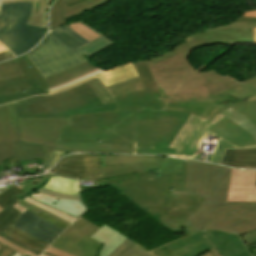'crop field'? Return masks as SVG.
Masks as SVG:
<instances>
[{
    "mask_svg": "<svg viewBox=\"0 0 256 256\" xmlns=\"http://www.w3.org/2000/svg\"><path fill=\"white\" fill-rule=\"evenodd\" d=\"M230 171L187 160L184 192L172 194L207 197L184 222L196 234L165 245L153 255L200 256L215 247L222 256H252L245 245L256 243V203L226 202Z\"/></svg>",
    "mask_w": 256,
    "mask_h": 256,
    "instance_id": "1",
    "label": "crop field"
},
{
    "mask_svg": "<svg viewBox=\"0 0 256 256\" xmlns=\"http://www.w3.org/2000/svg\"><path fill=\"white\" fill-rule=\"evenodd\" d=\"M133 64L146 90L113 97L119 111L70 116V126H64L60 139L136 144V154L198 160L200 151L182 157L167 148L189 113L162 111L157 100L161 95L145 60Z\"/></svg>",
    "mask_w": 256,
    "mask_h": 256,
    "instance_id": "2",
    "label": "crop field"
},
{
    "mask_svg": "<svg viewBox=\"0 0 256 256\" xmlns=\"http://www.w3.org/2000/svg\"><path fill=\"white\" fill-rule=\"evenodd\" d=\"M208 135L220 140L210 161L212 163H219L225 148L255 147L256 102L231 107L210 122L190 114L169 147L177 148V155L191 156L194 149H200Z\"/></svg>",
    "mask_w": 256,
    "mask_h": 256,
    "instance_id": "3",
    "label": "crop field"
},
{
    "mask_svg": "<svg viewBox=\"0 0 256 256\" xmlns=\"http://www.w3.org/2000/svg\"><path fill=\"white\" fill-rule=\"evenodd\" d=\"M185 165L186 160L183 171L110 186L171 231L179 230V234L191 235L192 232L181 222L199 207L203 198L171 195V189L183 191Z\"/></svg>",
    "mask_w": 256,
    "mask_h": 256,
    "instance_id": "4",
    "label": "crop field"
},
{
    "mask_svg": "<svg viewBox=\"0 0 256 256\" xmlns=\"http://www.w3.org/2000/svg\"><path fill=\"white\" fill-rule=\"evenodd\" d=\"M160 92L163 98L158 100L163 110L190 112L210 121L222 110L240 104L219 106L215 103L225 100L232 94L239 98L248 97L256 92V83L251 78L242 82L231 79L214 85L160 90Z\"/></svg>",
    "mask_w": 256,
    "mask_h": 256,
    "instance_id": "5",
    "label": "crop field"
},
{
    "mask_svg": "<svg viewBox=\"0 0 256 256\" xmlns=\"http://www.w3.org/2000/svg\"><path fill=\"white\" fill-rule=\"evenodd\" d=\"M14 105L19 118H69V115L118 110L115 103L102 105L87 82L50 96L20 100Z\"/></svg>",
    "mask_w": 256,
    "mask_h": 256,
    "instance_id": "6",
    "label": "crop field"
},
{
    "mask_svg": "<svg viewBox=\"0 0 256 256\" xmlns=\"http://www.w3.org/2000/svg\"><path fill=\"white\" fill-rule=\"evenodd\" d=\"M31 2L2 4L0 41L15 55L33 48L45 32L25 25L30 16Z\"/></svg>",
    "mask_w": 256,
    "mask_h": 256,
    "instance_id": "7",
    "label": "crop field"
},
{
    "mask_svg": "<svg viewBox=\"0 0 256 256\" xmlns=\"http://www.w3.org/2000/svg\"><path fill=\"white\" fill-rule=\"evenodd\" d=\"M189 51L153 66H151L149 59L146 60L159 89L208 85L233 78L228 75L221 76L213 70L199 73L186 60Z\"/></svg>",
    "mask_w": 256,
    "mask_h": 256,
    "instance_id": "8",
    "label": "crop field"
},
{
    "mask_svg": "<svg viewBox=\"0 0 256 256\" xmlns=\"http://www.w3.org/2000/svg\"><path fill=\"white\" fill-rule=\"evenodd\" d=\"M26 55L40 71L43 78L72 68L86 60L76 50L61 43L51 33Z\"/></svg>",
    "mask_w": 256,
    "mask_h": 256,
    "instance_id": "9",
    "label": "crop field"
},
{
    "mask_svg": "<svg viewBox=\"0 0 256 256\" xmlns=\"http://www.w3.org/2000/svg\"><path fill=\"white\" fill-rule=\"evenodd\" d=\"M98 229L99 227L80 217L51 246L74 256H95L102 243L89 237Z\"/></svg>",
    "mask_w": 256,
    "mask_h": 256,
    "instance_id": "10",
    "label": "crop field"
},
{
    "mask_svg": "<svg viewBox=\"0 0 256 256\" xmlns=\"http://www.w3.org/2000/svg\"><path fill=\"white\" fill-rule=\"evenodd\" d=\"M185 43L175 49L150 60L151 64L178 55L188 49L209 46L217 43H253V28L224 29L195 35L183 39Z\"/></svg>",
    "mask_w": 256,
    "mask_h": 256,
    "instance_id": "11",
    "label": "crop field"
},
{
    "mask_svg": "<svg viewBox=\"0 0 256 256\" xmlns=\"http://www.w3.org/2000/svg\"><path fill=\"white\" fill-rule=\"evenodd\" d=\"M0 76L9 89L29 83L36 95L48 94L47 83L26 55L0 64Z\"/></svg>",
    "mask_w": 256,
    "mask_h": 256,
    "instance_id": "12",
    "label": "crop field"
},
{
    "mask_svg": "<svg viewBox=\"0 0 256 256\" xmlns=\"http://www.w3.org/2000/svg\"><path fill=\"white\" fill-rule=\"evenodd\" d=\"M22 141L45 145V152L49 158L53 152L64 124L68 119H20Z\"/></svg>",
    "mask_w": 256,
    "mask_h": 256,
    "instance_id": "13",
    "label": "crop field"
},
{
    "mask_svg": "<svg viewBox=\"0 0 256 256\" xmlns=\"http://www.w3.org/2000/svg\"><path fill=\"white\" fill-rule=\"evenodd\" d=\"M21 191L17 186L11 187L0 195V206L5 210L0 212V235L4 232L40 249L45 250L48 244L20 231L19 229L11 226L14 221L22 214L12 206L20 199L15 195Z\"/></svg>",
    "mask_w": 256,
    "mask_h": 256,
    "instance_id": "14",
    "label": "crop field"
},
{
    "mask_svg": "<svg viewBox=\"0 0 256 256\" xmlns=\"http://www.w3.org/2000/svg\"><path fill=\"white\" fill-rule=\"evenodd\" d=\"M50 173L77 179L99 176L101 175L100 156L85 154L66 156L57 163Z\"/></svg>",
    "mask_w": 256,
    "mask_h": 256,
    "instance_id": "15",
    "label": "crop field"
},
{
    "mask_svg": "<svg viewBox=\"0 0 256 256\" xmlns=\"http://www.w3.org/2000/svg\"><path fill=\"white\" fill-rule=\"evenodd\" d=\"M183 160L157 156V163L134 164L117 167H104V156H101L102 176L94 178H81V181L100 180L105 178L118 177L125 174L139 171L158 169V174L182 170Z\"/></svg>",
    "mask_w": 256,
    "mask_h": 256,
    "instance_id": "16",
    "label": "crop field"
},
{
    "mask_svg": "<svg viewBox=\"0 0 256 256\" xmlns=\"http://www.w3.org/2000/svg\"><path fill=\"white\" fill-rule=\"evenodd\" d=\"M110 0H56L51 8L50 31L66 24L65 18L101 6Z\"/></svg>",
    "mask_w": 256,
    "mask_h": 256,
    "instance_id": "17",
    "label": "crop field"
},
{
    "mask_svg": "<svg viewBox=\"0 0 256 256\" xmlns=\"http://www.w3.org/2000/svg\"><path fill=\"white\" fill-rule=\"evenodd\" d=\"M255 174L232 169L227 201L256 202Z\"/></svg>",
    "mask_w": 256,
    "mask_h": 256,
    "instance_id": "18",
    "label": "crop field"
},
{
    "mask_svg": "<svg viewBox=\"0 0 256 256\" xmlns=\"http://www.w3.org/2000/svg\"><path fill=\"white\" fill-rule=\"evenodd\" d=\"M91 238L104 243L99 251V256H108L116 248H118L128 238L114 230L113 228L103 225ZM119 256H152L137 245H133Z\"/></svg>",
    "mask_w": 256,
    "mask_h": 256,
    "instance_id": "19",
    "label": "crop field"
},
{
    "mask_svg": "<svg viewBox=\"0 0 256 256\" xmlns=\"http://www.w3.org/2000/svg\"><path fill=\"white\" fill-rule=\"evenodd\" d=\"M49 223L27 210L16 220L14 226L50 244L63 230Z\"/></svg>",
    "mask_w": 256,
    "mask_h": 256,
    "instance_id": "20",
    "label": "crop field"
},
{
    "mask_svg": "<svg viewBox=\"0 0 256 256\" xmlns=\"http://www.w3.org/2000/svg\"><path fill=\"white\" fill-rule=\"evenodd\" d=\"M15 133V157L17 161L29 160L38 158L43 163L48 159L45 152L44 146L33 143L21 142V128L17 118L16 110L13 103L8 104Z\"/></svg>",
    "mask_w": 256,
    "mask_h": 256,
    "instance_id": "21",
    "label": "crop field"
},
{
    "mask_svg": "<svg viewBox=\"0 0 256 256\" xmlns=\"http://www.w3.org/2000/svg\"><path fill=\"white\" fill-rule=\"evenodd\" d=\"M56 151L61 152H107V153H131L134 145H119L94 142H74L60 140Z\"/></svg>",
    "mask_w": 256,
    "mask_h": 256,
    "instance_id": "22",
    "label": "crop field"
},
{
    "mask_svg": "<svg viewBox=\"0 0 256 256\" xmlns=\"http://www.w3.org/2000/svg\"><path fill=\"white\" fill-rule=\"evenodd\" d=\"M14 156V133L8 106H0V162Z\"/></svg>",
    "mask_w": 256,
    "mask_h": 256,
    "instance_id": "23",
    "label": "crop field"
},
{
    "mask_svg": "<svg viewBox=\"0 0 256 256\" xmlns=\"http://www.w3.org/2000/svg\"><path fill=\"white\" fill-rule=\"evenodd\" d=\"M220 164L243 169H256V147L236 150L226 149Z\"/></svg>",
    "mask_w": 256,
    "mask_h": 256,
    "instance_id": "24",
    "label": "crop field"
},
{
    "mask_svg": "<svg viewBox=\"0 0 256 256\" xmlns=\"http://www.w3.org/2000/svg\"><path fill=\"white\" fill-rule=\"evenodd\" d=\"M30 197L46 205L52 206L58 210L64 211L77 218L81 216L86 210V208L82 205L81 201L56 199L51 196L44 195L39 191L32 193Z\"/></svg>",
    "mask_w": 256,
    "mask_h": 256,
    "instance_id": "25",
    "label": "crop field"
},
{
    "mask_svg": "<svg viewBox=\"0 0 256 256\" xmlns=\"http://www.w3.org/2000/svg\"><path fill=\"white\" fill-rule=\"evenodd\" d=\"M99 70L92 66L88 61L69 70L62 71L55 75L45 78V81L49 85V89L55 86L63 85L69 81L80 78L88 73Z\"/></svg>",
    "mask_w": 256,
    "mask_h": 256,
    "instance_id": "26",
    "label": "crop field"
},
{
    "mask_svg": "<svg viewBox=\"0 0 256 256\" xmlns=\"http://www.w3.org/2000/svg\"><path fill=\"white\" fill-rule=\"evenodd\" d=\"M137 72L131 62L124 64L120 67L109 69L99 75V78L106 86L113 83L137 76Z\"/></svg>",
    "mask_w": 256,
    "mask_h": 256,
    "instance_id": "27",
    "label": "crop field"
},
{
    "mask_svg": "<svg viewBox=\"0 0 256 256\" xmlns=\"http://www.w3.org/2000/svg\"><path fill=\"white\" fill-rule=\"evenodd\" d=\"M32 1L31 17L27 24L32 26L43 27L46 29V13L48 4L52 0H12V2ZM10 3V0L2 1Z\"/></svg>",
    "mask_w": 256,
    "mask_h": 256,
    "instance_id": "28",
    "label": "crop field"
},
{
    "mask_svg": "<svg viewBox=\"0 0 256 256\" xmlns=\"http://www.w3.org/2000/svg\"><path fill=\"white\" fill-rule=\"evenodd\" d=\"M42 187L55 192L78 195V180L74 179L58 177L54 175Z\"/></svg>",
    "mask_w": 256,
    "mask_h": 256,
    "instance_id": "29",
    "label": "crop field"
},
{
    "mask_svg": "<svg viewBox=\"0 0 256 256\" xmlns=\"http://www.w3.org/2000/svg\"><path fill=\"white\" fill-rule=\"evenodd\" d=\"M54 36H56L60 41L68 44L69 46L73 47L76 50H79L81 47H83L85 44L89 43L86 39L81 37L79 34H77L75 31H73L71 28L63 27L56 29L51 32Z\"/></svg>",
    "mask_w": 256,
    "mask_h": 256,
    "instance_id": "30",
    "label": "crop field"
},
{
    "mask_svg": "<svg viewBox=\"0 0 256 256\" xmlns=\"http://www.w3.org/2000/svg\"><path fill=\"white\" fill-rule=\"evenodd\" d=\"M156 162V156L105 155V166Z\"/></svg>",
    "mask_w": 256,
    "mask_h": 256,
    "instance_id": "31",
    "label": "crop field"
},
{
    "mask_svg": "<svg viewBox=\"0 0 256 256\" xmlns=\"http://www.w3.org/2000/svg\"><path fill=\"white\" fill-rule=\"evenodd\" d=\"M81 23L83 25H85L87 28H89L90 30H92L93 32L97 33L98 35H100L101 37L98 38L97 40L91 42L90 44L84 46L83 48H81L79 51L80 54H82L85 58H88L104 49H106L107 47L111 46L112 43L110 40H108L106 37H104L103 35H101L99 32H97L96 30L92 29L91 27L87 26L86 24H84L82 21Z\"/></svg>",
    "mask_w": 256,
    "mask_h": 256,
    "instance_id": "32",
    "label": "crop field"
},
{
    "mask_svg": "<svg viewBox=\"0 0 256 256\" xmlns=\"http://www.w3.org/2000/svg\"><path fill=\"white\" fill-rule=\"evenodd\" d=\"M52 176H53L52 174H46V175H43V177L40 179L33 178L28 183L19 187L20 190H22L23 192L21 194L17 195V197L21 199V198L27 196L32 191H34L36 188H38V187L42 186L44 183H46Z\"/></svg>",
    "mask_w": 256,
    "mask_h": 256,
    "instance_id": "33",
    "label": "crop field"
},
{
    "mask_svg": "<svg viewBox=\"0 0 256 256\" xmlns=\"http://www.w3.org/2000/svg\"><path fill=\"white\" fill-rule=\"evenodd\" d=\"M87 82L92 87V89L96 92V94L99 96L103 104L114 102L109 91L99 80L91 79Z\"/></svg>",
    "mask_w": 256,
    "mask_h": 256,
    "instance_id": "34",
    "label": "crop field"
},
{
    "mask_svg": "<svg viewBox=\"0 0 256 256\" xmlns=\"http://www.w3.org/2000/svg\"><path fill=\"white\" fill-rule=\"evenodd\" d=\"M23 199L28 201V202H31V203H33V204H35V205H37V206H39V207H41L43 209H46V210L54 213L55 215L59 216L60 218L66 220V221H68L70 223H73L76 220V218H74V217H72V216H70V215H68V214H66L64 212H60V211H58V210H56V209H54L52 207L45 206V205H43V204H41V203H39V202L29 198L28 196L23 198Z\"/></svg>",
    "mask_w": 256,
    "mask_h": 256,
    "instance_id": "35",
    "label": "crop field"
},
{
    "mask_svg": "<svg viewBox=\"0 0 256 256\" xmlns=\"http://www.w3.org/2000/svg\"><path fill=\"white\" fill-rule=\"evenodd\" d=\"M69 27H71L73 30H75L77 33H79L81 36H83L90 42L100 37L97 34L90 31L89 29H87L85 26H83L79 22L75 24H71L69 25Z\"/></svg>",
    "mask_w": 256,
    "mask_h": 256,
    "instance_id": "36",
    "label": "crop field"
},
{
    "mask_svg": "<svg viewBox=\"0 0 256 256\" xmlns=\"http://www.w3.org/2000/svg\"><path fill=\"white\" fill-rule=\"evenodd\" d=\"M142 89H144V87H143L141 81H139V82L131 83V84L122 86L120 88L111 90V92L114 96H116V95L132 92V91H136V90H142Z\"/></svg>",
    "mask_w": 256,
    "mask_h": 256,
    "instance_id": "37",
    "label": "crop field"
},
{
    "mask_svg": "<svg viewBox=\"0 0 256 256\" xmlns=\"http://www.w3.org/2000/svg\"><path fill=\"white\" fill-rule=\"evenodd\" d=\"M32 95H34V93L31 90V91L22 92V93H18V94H15V95L5 97L4 94L0 90V104L10 102V101H14V100H17V99H21V98H24V97L32 96Z\"/></svg>",
    "mask_w": 256,
    "mask_h": 256,
    "instance_id": "38",
    "label": "crop field"
},
{
    "mask_svg": "<svg viewBox=\"0 0 256 256\" xmlns=\"http://www.w3.org/2000/svg\"><path fill=\"white\" fill-rule=\"evenodd\" d=\"M0 89L5 94V96H7L14 93L22 92L23 90H26V91L31 90V87L29 86V84H27V85L9 90L8 87L5 85V83L3 82V80L0 78Z\"/></svg>",
    "mask_w": 256,
    "mask_h": 256,
    "instance_id": "39",
    "label": "crop field"
},
{
    "mask_svg": "<svg viewBox=\"0 0 256 256\" xmlns=\"http://www.w3.org/2000/svg\"><path fill=\"white\" fill-rule=\"evenodd\" d=\"M2 237L11 241V242H13V243H15V244H17V245H19V246H21V247H23V248H25V249H27V250H29V251H31V252H33V253H35V254H37V255L41 254V251L37 250L36 248H34V247L16 239L14 237H11V236H9L5 233L2 235Z\"/></svg>",
    "mask_w": 256,
    "mask_h": 256,
    "instance_id": "40",
    "label": "crop field"
},
{
    "mask_svg": "<svg viewBox=\"0 0 256 256\" xmlns=\"http://www.w3.org/2000/svg\"><path fill=\"white\" fill-rule=\"evenodd\" d=\"M238 27H256V24H249V23H230L228 25H222L219 27H213V28H208L206 30L201 31L200 33L203 32H208V31H213V30H217V29H224V28H238ZM197 33V34H200ZM195 35V34H193ZM192 36V35H191ZM190 37V36H188Z\"/></svg>",
    "mask_w": 256,
    "mask_h": 256,
    "instance_id": "41",
    "label": "crop field"
},
{
    "mask_svg": "<svg viewBox=\"0 0 256 256\" xmlns=\"http://www.w3.org/2000/svg\"><path fill=\"white\" fill-rule=\"evenodd\" d=\"M2 210H4V209H2V208L0 207V211H2ZM0 243H1L2 245H4V246L10 247L11 249H13V250H15L16 252H19V253H21V254H23V255L30 254V255H32V256H37V255H35V254H33V253H31V252H29V251H27V250H25V249L19 247V246L13 244V243H11V242H9V241H7V240L1 238V237H0Z\"/></svg>",
    "mask_w": 256,
    "mask_h": 256,
    "instance_id": "42",
    "label": "crop field"
},
{
    "mask_svg": "<svg viewBox=\"0 0 256 256\" xmlns=\"http://www.w3.org/2000/svg\"><path fill=\"white\" fill-rule=\"evenodd\" d=\"M45 194H48V195H51L53 197H56V198H61V199H70V200H80L79 196H76V195H65V194H59V193H55V192H51V191H48L44 188H39L37 189Z\"/></svg>",
    "mask_w": 256,
    "mask_h": 256,
    "instance_id": "43",
    "label": "crop field"
},
{
    "mask_svg": "<svg viewBox=\"0 0 256 256\" xmlns=\"http://www.w3.org/2000/svg\"><path fill=\"white\" fill-rule=\"evenodd\" d=\"M63 154L64 153L55 152L37 175L42 174L45 169L50 170Z\"/></svg>",
    "mask_w": 256,
    "mask_h": 256,
    "instance_id": "44",
    "label": "crop field"
},
{
    "mask_svg": "<svg viewBox=\"0 0 256 256\" xmlns=\"http://www.w3.org/2000/svg\"><path fill=\"white\" fill-rule=\"evenodd\" d=\"M37 216L43 218L44 220L50 222L51 224H53V225H55V226H57V227H59V228H61L63 230L68 227V226L60 223L59 221L53 219L52 217H50V216H48V215H46V214H44L42 212L40 214H38Z\"/></svg>",
    "mask_w": 256,
    "mask_h": 256,
    "instance_id": "45",
    "label": "crop field"
},
{
    "mask_svg": "<svg viewBox=\"0 0 256 256\" xmlns=\"http://www.w3.org/2000/svg\"><path fill=\"white\" fill-rule=\"evenodd\" d=\"M134 242H132L130 239H128L124 244H122L118 249H116L112 254L109 256H118L121 254L123 251L128 249L130 246H132Z\"/></svg>",
    "mask_w": 256,
    "mask_h": 256,
    "instance_id": "46",
    "label": "crop field"
},
{
    "mask_svg": "<svg viewBox=\"0 0 256 256\" xmlns=\"http://www.w3.org/2000/svg\"><path fill=\"white\" fill-rule=\"evenodd\" d=\"M251 97V96H250ZM249 98V97H248ZM244 100H247V98H237L235 96H230L228 99H226L225 101L221 102V103H217V104H220V105H226V104H233V103H237V102H240V101H244Z\"/></svg>",
    "mask_w": 256,
    "mask_h": 256,
    "instance_id": "47",
    "label": "crop field"
},
{
    "mask_svg": "<svg viewBox=\"0 0 256 256\" xmlns=\"http://www.w3.org/2000/svg\"><path fill=\"white\" fill-rule=\"evenodd\" d=\"M139 77H134V78H131V79H128V80H125V81H122V82H119V83H116L114 85H111V86H108V89L111 90V89H114V88H117L119 86H122V85H125V84H128V83H131V82H135V81H139Z\"/></svg>",
    "mask_w": 256,
    "mask_h": 256,
    "instance_id": "48",
    "label": "crop field"
},
{
    "mask_svg": "<svg viewBox=\"0 0 256 256\" xmlns=\"http://www.w3.org/2000/svg\"><path fill=\"white\" fill-rule=\"evenodd\" d=\"M45 252L50 253V254L55 255V256H71V255H69V254H67V253H64V252H62V251H60V250H58V249H55V248H53V247H51V246H49V247L45 250Z\"/></svg>",
    "mask_w": 256,
    "mask_h": 256,
    "instance_id": "49",
    "label": "crop field"
},
{
    "mask_svg": "<svg viewBox=\"0 0 256 256\" xmlns=\"http://www.w3.org/2000/svg\"><path fill=\"white\" fill-rule=\"evenodd\" d=\"M103 71H105V70L101 69V70H99V71H97V72H94V73H91V74H89V75H87V76H85V77H83V78L77 79V80H75V81L69 82V83H67V84H65V85H63V86L56 87V88H53V89H51V90H54V89H58V88H61V87H64V86L71 85V84L76 83V82H78V81H81V80H83V79H87V78H89V77H92V76H94V75H97V74H99V73H101V72H103ZM51 90H50V91H51Z\"/></svg>",
    "mask_w": 256,
    "mask_h": 256,
    "instance_id": "50",
    "label": "crop field"
},
{
    "mask_svg": "<svg viewBox=\"0 0 256 256\" xmlns=\"http://www.w3.org/2000/svg\"><path fill=\"white\" fill-rule=\"evenodd\" d=\"M21 201H23V200H21ZM23 202H25L26 204H28V205H30V206H32V207H34V208H36V209H38V210H40V211H42V212H44V213H46V214L52 216L53 218H55V219L61 221L62 223L66 224V225H68V226L70 225V223H68V222H66V221H64V220H62V219H60L59 217H57V216H55V215H53V214H51V213H49V212H47V211H45V210L39 208V207H37V206H35V205L31 204V203H28V202H26V201H23Z\"/></svg>",
    "mask_w": 256,
    "mask_h": 256,
    "instance_id": "51",
    "label": "crop field"
},
{
    "mask_svg": "<svg viewBox=\"0 0 256 256\" xmlns=\"http://www.w3.org/2000/svg\"><path fill=\"white\" fill-rule=\"evenodd\" d=\"M234 22H250V23H256V18L251 17H240L238 20Z\"/></svg>",
    "mask_w": 256,
    "mask_h": 256,
    "instance_id": "52",
    "label": "crop field"
},
{
    "mask_svg": "<svg viewBox=\"0 0 256 256\" xmlns=\"http://www.w3.org/2000/svg\"><path fill=\"white\" fill-rule=\"evenodd\" d=\"M14 252H15V251H13V250H11V249L5 247L4 249H2V250L0 251V256H10V255H12Z\"/></svg>",
    "mask_w": 256,
    "mask_h": 256,
    "instance_id": "53",
    "label": "crop field"
},
{
    "mask_svg": "<svg viewBox=\"0 0 256 256\" xmlns=\"http://www.w3.org/2000/svg\"><path fill=\"white\" fill-rule=\"evenodd\" d=\"M11 57H14V55L11 54V53L9 52V50L0 53V61L5 60V59H7V58H11Z\"/></svg>",
    "mask_w": 256,
    "mask_h": 256,
    "instance_id": "54",
    "label": "crop field"
},
{
    "mask_svg": "<svg viewBox=\"0 0 256 256\" xmlns=\"http://www.w3.org/2000/svg\"><path fill=\"white\" fill-rule=\"evenodd\" d=\"M201 256H221L217 250L214 248L208 252H206L205 254L201 255Z\"/></svg>",
    "mask_w": 256,
    "mask_h": 256,
    "instance_id": "55",
    "label": "crop field"
},
{
    "mask_svg": "<svg viewBox=\"0 0 256 256\" xmlns=\"http://www.w3.org/2000/svg\"><path fill=\"white\" fill-rule=\"evenodd\" d=\"M17 204H19V205H21V206L27 208L28 210H30L31 212H33V213L36 214V215H37L38 213H40V211H38V210H36V209H34V208H31V207L27 206L26 204H24V203L21 202V201H19Z\"/></svg>",
    "mask_w": 256,
    "mask_h": 256,
    "instance_id": "56",
    "label": "crop field"
},
{
    "mask_svg": "<svg viewBox=\"0 0 256 256\" xmlns=\"http://www.w3.org/2000/svg\"><path fill=\"white\" fill-rule=\"evenodd\" d=\"M94 77H95V76H94ZM92 78H93V77H92ZM89 79H90V78H89ZM87 80H88V79H87ZM84 81H86V80H83V81H81V82H78V83H76V84H73V85L68 86V87H65V88H61V89H58V90H55V91H51L50 93L53 94V93H56V92H59V91H62V90H65V89L74 87V86H76V85H78V84H80V83H82V82H84Z\"/></svg>",
    "mask_w": 256,
    "mask_h": 256,
    "instance_id": "57",
    "label": "crop field"
},
{
    "mask_svg": "<svg viewBox=\"0 0 256 256\" xmlns=\"http://www.w3.org/2000/svg\"><path fill=\"white\" fill-rule=\"evenodd\" d=\"M242 16H252V17H256V11H254V12H245V14L242 15Z\"/></svg>",
    "mask_w": 256,
    "mask_h": 256,
    "instance_id": "58",
    "label": "crop field"
},
{
    "mask_svg": "<svg viewBox=\"0 0 256 256\" xmlns=\"http://www.w3.org/2000/svg\"><path fill=\"white\" fill-rule=\"evenodd\" d=\"M13 207H15L16 209H18V210L21 211L22 213L25 212V210H26L25 208H23V207H21V206H19V205H17V204L14 205Z\"/></svg>",
    "mask_w": 256,
    "mask_h": 256,
    "instance_id": "59",
    "label": "crop field"
},
{
    "mask_svg": "<svg viewBox=\"0 0 256 256\" xmlns=\"http://www.w3.org/2000/svg\"><path fill=\"white\" fill-rule=\"evenodd\" d=\"M5 50H7V48H5L2 44H0V52Z\"/></svg>",
    "mask_w": 256,
    "mask_h": 256,
    "instance_id": "60",
    "label": "crop field"
},
{
    "mask_svg": "<svg viewBox=\"0 0 256 256\" xmlns=\"http://www.w3.org/2000/svg\"><path fill=\"white\" fill-rule=\"evenodd\" d=\"M254 43H256V28H254Z\"/></svg>",
    "mask_w": 256,
    "mask_h": 256,
    "instance_id": "61",
    "label": "crop field"
},
{
    "mask_svg": "<svg viewBox=\"0 0 256 256\" xmlns=\"http://www.w3.org/2000/svg\"><path fill=\"white\" fill-rule=\"evenodd\" d=\"M254 94H255V93H254ZM252 95H253V94H252ZM254 99H256V96H253V97L249 98L250 101H252V100H254Z\"/></svg>",
    "mask_w": 256,
    "mask_h": 256,
    "instance_id": "62",
    "label": "crop field"
},
{
    "mask_svg": "<svg viewBox=\"0 0 256 256\" xmlns=\"http://www.w3.org/2000/svg\"><path fill=\"white\" fill-rule=\"evenodd\" d=\"M43 255H46V256H52V255H50V254H47V253H45V252L43 253Z\"/></svg>",
    "mask_w": 256,
    "mask_h": 256,
    "instance_id": "63",
    "label": "crop field"
},
{
    "mask_svg": "<svg viewBox=\"0 0 256 256\" xmlns=\"http://www.w3.org/2000/svg\"><path fill=\"white\" fill-rule=\"evenodd\" d=\"M13 256H22V255H20V254L16 253V254H15V255H13Z\"/></svg>",
    "mask_w": 256,
    "mask_h": 256,
    "instance_id": "64",
    "label": "crop field"
},
{
    "mask_svg": "<svg viewBox=\"0 0 256 256\" xmlns=\"http://www.w3.org/2000/svg\"><path fill=\"white\" fill-rule=\"evenodd\" d=\"M4 246H2L1 244H0V250L3 248Z\"/></svg>",
    "mask_w": 256,
    "mask_h": 256,
    "instance_id": "65",
    "label": "crop field"
},
{
    "mask_svg": "<svg viewBox=\"0 0 256 256\" xmlns=\"http://www.w3.org/2000/svg\"><path fill=\"white\" fill-rule=\"evenodd\" d=\"M252 79L256 82V77H253Z\"/></svg>",
    "mask_w": 256,
    "mask_h": 256,
    "instance_id": "66",
    "label": "crop field"
},
{
    "mask_svg": "<svg viewBox=\"0 0 256 256\" xmlns=\"http://www.w3.org/2000/svg\"><path fill=\"white\" fill-rule=\"evenodd\" d=\"M1 3H2V2H1V0H0V6H1Z\"/></svg>",
    "mask_w": 256,
    "mask_h": 256,
    "instance_id": "67",
    "label": "crop field"
},
{
    "mask_svg": "<svg viewBox=\"0 0 256 256\" xmlns=\"http://www.w3.org/2000/svg\"><path fill=\"white\" fill-rule=\"evenodd\" d=\"M255 186H256V183H255Z\"/></svg>",
    "mask_w": 256,
    "mask_h": 256,
    "instance_id": "68",
    "label": "crop field"
},
{
    "mask_svg": "<svg viewBox=\"0 0 256 256\" xmlns=\"http://www.w3.org/2000/svg\"><path fill=\"white\" fill-rule=\"evenodd\" d=\"M41 256H43V255H41Z\"/></svg>",
    "mask_w": 256,
    "mask_h": 256,
    "instance_id": "69",
    "label": "crop field"
},
{
    "mask_svg": "<svg viewBox=\"0 0 256 256\" xmlns=\"http://www.w3.org/2000/svg\"><path fill=\"white\" fill-rule=\"evenodd\" d=\"M15 253H16V252H15ZM15 253H14V254H15Z\"/></svg>",
    "mask_w": 256,
    "mask_h": 256,
    "instance_id": "70",
    "label": "crop field"
},
{
    "mask_svg": "<svg viewBox=\"0 0 256 256\" xmlns=\"http://www.w3.org/2000/svg\"><path fill=\"white\" fill-rule=\"evenodd\" d=\"M0 9H1V7H0Z\"/></svg>",
    "mask_w": 256,
    "mask_h": 256,
    "instance_id": "71",
    "label": "crop field"
}]
</instances>
